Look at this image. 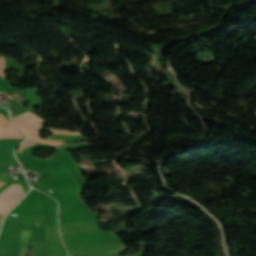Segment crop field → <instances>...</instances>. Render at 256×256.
I'll return each instance as SVG.
<instances>
[{"instance_id":"crop-field-1","label":"crop field","mask_w":256,"mask_h":256,"mask_svg":"<svg viewBox=\"0 0 256 256\" xmlns=\"http://www.w3.org/2000/svg\"><path fill=\"white\" fill-rule=\"evenodd\" d=\"M13 123L21 130H23L28 137L48 143V144H61L64 141L60 140H50V139H42L39 137L38 131L45 129L43 128V124L45 123V120L27 112L15 117L11 118ZM49 131L53 133H58V134H79L78 132H70L68 130H62V129H54V128H48Z\"/></svg>"},{"instance_id":"crop-field-2","label":"crop field","mask_w":256,"mask_h":256,"mask_svg":"<svg viewBox=\"0 0 256 256\" xmlns=\"http://www.w3.org/2000/svg\"><path fill=\"white\" fill-rule=\"evenodd\" d=\"M18 185L13 184L6 191H4L0 195V205L4 202V200L16 189ZM25 195V192L22 186H18V188L5 200V202L0 206V213H6L9 209L15 205L20 198Z\"/></svg>"},{"instance_id":"crop-field-3","label":"crop field","mask_w":256,"mask_h":256,"mask_svg":"<svg viewBox=\"0 0 256 256\" xmlns=\"http://www.w3.org/2000/svg\"><path fill=\"white\" fill-rule=\"evenodd\" d=\"M1 138H22V133L17 131L0 113V139Z\"/></svg>"},{"instance_id":"crop-field-4","label":"crop field","mask_w":256,"mask_h":256,"mask_svg":"<svg viewBox=\"0 0 256 256\" xmlns=\"http://www.w3.org/2000/svg\"><path fill=\"white\" fill-rule=\"evenodd\" d=\"M34 142H35V141H33V140L27 138V139L23 142V144L20 146L19 149L22 150V149H24L25 147H27V146H29V145H33Z\"/></svg>"},{"instance_id":"crop-field-5","label":"crop field","mask_w":256,"mask_h":256,"mask_svg":"<svg viewBox=\"0 0 256 256\" xmlns=\"http://www.w3.org/2000/svg\"><path fill=\"white\" fill-rule=\"evenodd\" d=\"M3 70H4V60L2 57L0 58V77H3Z\"/></svg>"},{"instance_id":"crop-field-6","label":"crop field","mask_w":256,"mask_h":256,"mask_svg":"<svg viewBox=\"0 0 256 256\" xmlns=\"http://www.w3.org/2000/svg\"><path fill=\"white\" fill-rule=\"evenodd\" d=\"M2 218H3V216H2V215H0V223H1Z\"/></svg>"}]
</instances>
